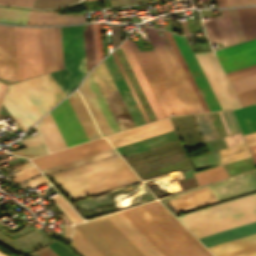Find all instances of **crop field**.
Wrapping results in <instances>:
<instances>
[{"mask_svg":"<svg viewBox=\"0 0 256 256\" xmlns=\"http://www.w3.org/2000/svg\"><path fill=\"white\" fill-rule=\"evenodd\" d=\"M49 72L56 71V54L53 28H45Z\"/></svg>","mask_w":256,"mask_h":256,"instance_id":"38","label":"crop field"},{"mask_svg":"<svg viewBox=\"0 0 256 256\" xmlns=\"http://www.w3.org/2000/svg\"><path fill=\"white\" fill-rule=\"evenodd\" d=\"M165 33H166V35H167L175 53H176V55H177L181 65H182V67H183V69H184V71H185V73H186V75H187V77H188V79H189V81H190V83H191V85H192V87H193V89H194V91H195V93H196L204 111L208 112L209 109H208V107H207V105H206V103H205V101H204V99H203V97H202V95H201V93H200V91H199V89H198V87H197V85H196V83H195V81H194V79H193V77H192V75H191V73H190V71H189V69H188V67H187V65H186V63H185V61H184V59H183V57H182V55L179 51L174 39H173V37H172V35H171V33H169V32H165Z\"/></svg>","mask_w":256,"mask_h":256,"instance_id":"29","label":"crop field"},{"mask_svg":"<svg viewBox=\"0 0 256 256\" xmlns=\"http://www.w3.org/2000/svg\"><path fill=\"white\" fill-rule=\"evenodd\" d=\"M71 245L83 256H102L75 228Z\"/></svg>","mask_w":256,"mask_h":256,"instance_id":"30","label":"crop field"},{"mask_svg":"<svg viewBox=\"0 0 256 256\" xmlns=\"http://www.w3.org/2000/svg\"><path fill=\"white\" fill-rule=\"evenodd\" d=\"M28 165H31V162H29V163H27V164H24V165H22V166H19V167L13 169V171H15V170H17V169H19V168H21V167L28 166Z\"/></svg>","mask_w":256,"mask_h":256,"instance_id":"71","label":"crop field"},{"mask_svg":"<svg viewBox=\"0 0 256 256\" xmlns=\"http://www.w3.org/2000/svg\"><path fill=\"white\" fill-rule=\"evenodd\" d=\"M28 13L29 11L14 10L0 7V22L26 25Z\"/></svg>","mask_w":256,"mask_h":256,"instance_id":"31","label":"crop field"},{"mask_svg":"<svg viewBox=\"0 0 256 256\" xmlns=\"http://www.w3.org/2000/svg\"><path fill=\"white\" fill-rule=\"evenodd\" d=\"M229 6L256 4V0H228Z\"/></svg>","mask_w":256,"mask_h":256,"instance_id":"55","label":"crop field"},{"mask_svg":"<svg viewBox=\"0 0 256 256\" xmlns=\"http://www.w3.org/2000/svg\"><path fill=\"white\" fill-rule=\"evenodd\" d=\"M33 168H35L34 165H33V166H30V167H26V168H24L22 171L17 172V173H15L14 175H15V176H16V175H19V174H21V173H23V172H26V171H28V170H31V169H33Z\"/></svg>","mask_w":256,"mask_h":256,"instance_id":"67","label":"crop field"},{"mask_svg":"<svg viewBox=\"0 0 256 256\" xmlns=\"http://www.w3.org/2000/svg\"><path fill=\"white\" fill-rule=\"evenodd\" d=\"M83 32H84L86 65H87V71H88L95 65L91 24L86 25V30H83Z\"/></svg>","mask_w":256,"mask_h":256,"instance_id":"37","label":"crop field"},{"mask_svg":"<svg viewBox=\"0 0 256 256\" xmlns=\"http://www.w3.org/2000/svg\"><path fill=\"white\" fill-rule=\"evenodd\" d=\"M17 86L40 117L65 96L50 74L17 83Z\"/></svg>","mask_w":256,"mask_h":256,"instance_id":"9","label":"crop field"},{"mask_svg":"<svg viewBox=\"0 0 256 256\" xmlns=\"http://www.w3.org/2000/svg\"><path fill=\"white\" fill-rule=\"evenodd\" d=\"M243 134L256 131V105L233 110Z\"/></svg>","mask_w":256,"mask_h":256,"instance_id":"28","label":"crop field"},{"mask_svg":"<svg viewBox=\"0 0 256 256\" xmlns=\"http://www.w3.org/2000/svg\"><path fill=\"white\" fill-rule=\"evenodd\" d=\"M219 113V115H220V118H221V120H222V122H223V125H224V127H225V130H226V132H227V134L229 135L230 133H229V131H228V129H227V126H226V124H225V122H224V120H223V117H222V115H221V113L220 112H218Z\"/></svg>","mask_w":256,"mask_h":256,"instance_id":"70","label":"crop field"},{"mask_svg":"<svg viewBox=\"0 0 256 256\" xmlns=\"http://www.w3.org/2000/svg\"><path fill=\"white\" fill-rule=\"evenodd\" d=\"M121 213L164 256H212L159 202Z\"/></svg>","mask_w":256,"mask_h":256,"instance_id":"1","label":"crop field"},{"mask_svg":"<svg viewBox=\"0 0 256 256\" xmlns=\"http://www.w3.org/2000/svg\"><path fill=\"white\" fill-rule=\"evenodd\" d=\"M224 139L228 147L244 142L240 133L224 137Z\"/></svg>","mask_w":256,"mask_h":256,"instance_id":"51","label":"crop field"},{"mask_svg":"<svg viewBox=\"0 0 256 256\" xmlns=\"http://www.w3.org/2000/svg\"><path fill=\"white\" fill-rule=\"evenodd\" d=\"M210 111L220 110L184 36L172 34Z\"/></svg>","mask_w":256,"mask_h":256,"instance_id":"16","label":"crop field"},{"mask_svg":"<svg viewBox=\"0 0 256 256\" xmlns=\"http://www.w3.org/2000/svg\"><path fill=\"white\" fill-rule=\"evenodd\" d=\"M156 31H157V33H158V35L159 36H161L162 37V39H163V41H164V43L165 44H168L169 42H168V40H167V38H166V36H165V34H164V32L163 31H161V30H157L156 29ZM161 39V38H160ZM162 41V40H161ZM163 43V42H162ZM164 45V44H163ZM165 47V46H164ZM167 47H168V49H169V51H170V53H171V55H172V57H173V59H174V61H175V63H176V65H177V67H178V69H179V73H180V75H181V77H182V79H183V81H184V83H185V85H186V87H187V89H188V91H189V93H190V95H191V97H192V99H193V101H194V103H195V105L197 106V108H198V110H199V112H203V110H202V108H201V106H200V104H199V102H198V100H197V98H196V96H195V94H194V92H193V90H192V88H191V86H190V84H189V82H188V80H187V78H186V76H185V74H184V72H183V70H182V68H181V66H180V64H179V62H178V60H177V58H176V56H175V54H174V52H173V50H172V48H171V46H170V44H168L167 45ZM166 49V48H165ZM167 51V50H166ZM168 53V52H167ZM169 55V54H168ZM170 57V56H169ZM171 59V58H170ZM172 61V60H171ZM173 63V62H172ZM174 65V64H173ZM175 67V66H174ZM176 69V68H175ZM177 71V70H176ZM178 73V72H177ZM179 75V74H178ZM180 77V76H179ZM181 79V78H180ZM182 81V80H181ZM183 83V82H182ZM184 85V84H183ZM185 87V86H184ZM186 89V88H185ZM187 91V90H186ZM188 93V92H187ZM189 95V94H188ZM190 97V96H189ZM191 99V98H190ZM192 101V100H191ZM193 103V102H192ZM194 105V104H193ZM195 107V106H194ZM196 109V108H195ZM197 111V110H196ZM198 113V112H197Z\"/></svg>","mask_w":256,"mask_h":256,"instance_id":"33","label":"crop field"},{"mask_svg":"<svg viewBox=\"0 0 256 256\" xmlns=\"http://www.w3.org/2000/svg\"><path fill=\"white\" fill-rule=\"evenodd\" d=\"M203 23L205 25V30H206V33L208 35V38H209V41L211 42V44L221 42L218 32H217V29H216V26H215V23H214V20L205 21Z\"/></svg>","mask_w":256,"mask_h":256,"instance_id":"44","label":"crop field"},{"mask_svg":"<svg viewBox=\"0 0 256 256\" xmlns=\"http://www.w3.org/2000/svg\"><path fill=\"white\" fill-rule=\"evenodd\" d=\"M36 126L42 134L50 151L66 148L50 113L39 121Z\"/></svg>","mask_w":256,"mask_h":256,"instance_id":"23","label":"crop field"},{"mask_svg":"<svg viewBox=\"0 0 256 256\" xmlns=\"http://www.w3.org/2000/svg\"><path fill=\"white\" fill-rule=\"evenodd\" d=\"M50 113L67 147L88 140L68 99L61 102Z\"/></svg>","mask_w":256,"mask_h":256,"instance_id":"11","label":"crop field"},{"mask_svg":"<svg viewBox=\"0 0 256 256\" xmlns=\"http://www.w3.org/2000/svg\"><path fill=\"white\" fill-rule=\"evenodd\" d=\"M256 65H253V66H250V67H247V68H243V69H240V70H237V71H234V72H230V73H227L226 75H231V74H235V73H238V72H241V71H245V70H248V69H251V68H255Z\"/></svg>","mask_w":256,"mask_h":256,"instance_id":"63","label":"crop field"},{"mask_svg":"<svg viewBox=\"0 0 256 256\" xmlns=\"http://www.w3.org/2000/svg\"><path fill=\"white\" fill-rule=\"evenodd\" d=\"M53 202L64 212L72 223L83 221L60 194L52 197Z\"/></svg>","mask_w":256,"mask_h":256,"instance_id":"39","label":"crop field"},{"mask_svg":"<svg viewBox=\"0 0 256 256\" xmlns=\"http://www.w3.org/2000/svg\"><path fill=\"white\" fill-rule=\"evenodd\" d=\"M0 4L12 5L13 4V0H0Z\"/></svg>","mask_w":256,"mask_h":256,"instance_id":"69","label":"crop field"},{"mask_svg":"<svg viewBox=\"0 0 256 256\" xmlns=\"http://www.w3.org/2000/svg\"><path fill=\"white\" fill-rule=\"evenodd\" d=\"M229 12H230V16L233 22V26H234L238 41L239 42L245 41L246 39H245L244 32H243L236 9H229Z\"/></svg>","mask_w":256,"mask_h":256,"instance_id":"43","label":"crop field"},{"mask_svg":"<svg viewBox=\"0 0 256 256\" xmlns=\"http://www.w3.org/2000/svg\"><path fill=\"white\" fill-rule=\"evenodd\" d=\"M80 89H81V91L84 95V98H85V100H86V102H87V104H88V106H89V108H90V110H91V112H92V114H93L101 132H102V134H103V136L111 134L112 132H111V130H110V128H109V126H108V124H107V122H106V120H105V118H104V116H103V114H102V112H101V110H100V108H99V106H98V104H97V102H96V100H95L87 82H86V80L83 82Z\"/></svg>","mask_w":256,"mask_h":256,"instance_id":"26","label":"crop field"},{"mask_svg":"<svg viewBox=\"0 0 256 256\" xmlns=\"http://www.w3.org/2000/svg\"><path fill=\"white\" fill-rule=\"evenodd\" d=\"M77 1L79 0H35L33 8H53Z\"/></svg>","mask_w":256,"mask_h":256,"instance_id":"41","label":"crop field"},{"mask_svg":"<svg viewBox=\"0 0 256 256\" xmlns=\"http://www.w3.org/2000/svg\"><path fill=\"white\" fill-rule=\"evenodd\" d=\"M247 145L256 144V132L243 135Z\"/></svg>","mask_w":256,"mask_h":256,"instance_id":"56","label":"crop field"},{"mask_svg":"<svg viewBox=\"0 0 256 256\" xmlns=\"http://www.w3.org/2000/svg\"><path fill=\"white\" fill-rule=\"evenodd\" d=\"M108 149H111V147L107 141L103 138H99L55 153L33 158L31 160L40 170H42Z\"/></svg>","mask_w":256,"mask_h":256,"instance_id":"10","label":"crop field"},{"mask_svg":"<svg viewBox=\"0 0 256 256\" xmlns=\"http://www.w3.org/2000/svg\"><path fill=\"white\" fill-rule=\"evenodd\" d=\"M250 153L253 157L254 162L256 163V145L249 146Z\"/></svg>","mask_w":256,"mask_h":256,"instance_id":"62","label":"crop field"},{"mask_svg":"<svg viewBox=\"0 0 256 256\" xmlns=\"http://www.w3.org/2000/svg\"><path fill=\"white\" fill-rule=\"evenodd\" d=\"M59 256H78L71 252L65 245L54 242L48 245Z\"/></svg>","mask_w":256,"mask_h":256,"instance_id":"47","label":"crop field"},{"mask_svg":"<svg viewBox=\"0 0 256 256\" xmlns=\"http://www.w3.org/2000/svg\"><path fill=\"white\" fill-rule=\"evenodd\" d=\"M106 217L145 255L163 256L120 212Z\"/></svg>","mask_w":256,"mask_h":256,"instance_id":"18","label":"crop field"},{"mask_svg":"<svg viewBox=\"0 0 256 256\" xmlns=\"http://www.w3.org/2000/svg\"><path fill=\"white\" fill-rule=\"evenodd\" d=\"M58 70L64 68L59 28H54Z\"/></svg>","mask_w":256,"mask_h":256,"instance_id":"45","label":"crop field"},{"mask_svg":"<svg viewBox=\"0 0 256 256\" xmlns=\"http://www.w3.org/2000/svg\"><path fill=\"white\" fill-rule=\"evenodd\" d=\"M177 218L197 238L256 221V193L180 215Z\"/></svg>","mask_w":256,"mask_h":256,"instance_id":"3","label":"crop field"},{"mask_svg":"<svg viewBox=\"0 0 256 256\" xmlns=\"http://www.w3.org/2000/svg\"><path fill=\"white\" fill-rule=\"evenodd\" d=\"M2 104L23 132L29 129L40 118L16 84L8 86Z\"/></svg>","mask_w":256,"mask_h":256,"instance_id":"12","label":"crop field"},{"mask_svg":"<svg viewBox=\"0 0 256 256\" xmlns=\"http://www.w3.org/2000/svg\"><path fill=\"white\" fill-rule=\"evenodd\" d=\"M145 31L186 111L187 114L196 113L179 77L177 76L156 32L152 28L144 27Z\"/></svg>","mask_w":256,"mask_h":256,"instance_id":"15","label":"crop field"},{"mask_svg":"<svg viewBox=\"0 0 256 256\" xmlns=\"http://www.w3.org/2000/svg\"><path fill=\"white\" fill-rule=\"evenodd\" d=\"M225 73L256 64V39L215 51Z\"/></svg>","mask_w":256,"mask_h":256,"instance_id":"13","label":"crop field"},{"mask_svg":"<svg viewBox=\"0 0 256 256\" xmlns=\"http://www.w3.org/2000/svg\"><path fill=\"white\" fill-rule=\"evenodd\" d=\"M88 139L100 137V134L88 113L78 91L68 97Z\"/></svg>","mask_w":256,"mask_h":256,"instance_id":"22","label":"crop field"},{"mask_svg":"<svg viewBox=\"0 0 256 256\" xmlns=\"http://www.w3.org/2000/svg\"><path fill=\"white\" fill-rule=\"evenodd\" d=\"M5 87H6V85L1 84V87H0V103H1V100H2V97H3V94H4Z\"/></svg>","mask_w":256,"mask_h":256,"instance_id":"68","label":"crop field"},{"mask_svg":"<svg viewBox=\"0 0 256 256\" xmlns=\"http://www.w3.org/2000/svg\"><path fill=\"white\" fill-rule=\"evenodd\" d=\"M222 115L224 117V120L228 126V129L230 131V133H235V132H238L239 129L237 127V124L235 122V119L233 117V114L231 112V110H228V111H223L222 112Z\"/></svg>","mask_w":256,"mask_h":256,"instance_id":"48","label":"crop field"},{"mask_svg":"<svg viewBox=\"0 0 256 256\" xmlns=\"http://www.w3.org/2000/svg\"><path fill=\"white\" fill-rule=\"evenodd\" d=\"M170 120V119H169ZM168 118L159 120L150 124L136 127L127 131H123L114 135L107 136L106 138L110 143L116 147L129 142H133L142 138H146L155 134L172 130V126Z\"/></svg>","mask_w":256,"mask_h":256,"instance_id":"17","label":"crop field"},{"mask_svg":"<svg viewBox=\"0 0 256 256\" xmlns=\"http://www.w3.org/2000/svg\"><path fill=\"white\" fill-rule=\"evenodd\" d=\"M181 23H182V27H183L184 34L190 35V34H189V31H188V27H187L186 21H181Z\"/></svg>","mask_w":256,"mask_h":256,"instance_id":"64","label":"crop field"},{"mask_svg":"<svg viewBox=\"0 0 256 256\" xmlns=\"http://www.w3.org/2000/svg\"><path fill=\"white\" fill-rule=\"evenodd\" d=\"M33 2L34 0H15L13 5L32 7Z\"/></svg>","mask_w":256,"mask_h":256,"instance_id":"59","label":"crop field"},{"mask_svg":"<svg viewBox=\"0 0 256 256\" xmlns=\"http://www.w3.org/2000/svg\"><path fill=\"white\" fill-rule=\"evenodd\" d=\"M45 182H47V180L44 178V177H42V178H40V179H38V180H36V181H34V182H32V183H30V184H28V186H30V187H37V186H39V185H41V184H43V183H45ZM27 187V186H26ZM25 188V187H24Z\"/></svg>","mask_w":256,"mask_h":256,"instance_id":"61","label":"crop field"},{"mask_svg":"<svg viewBox=\"0 0 256 256\" xmlns=\"http://www.w3.org/2000/svg\"><path fill=\"white\" fill-rule=\"evenodd\" d=\"M222 110L240 106L213 52L195 55Z\"/></svg>","mask_w":256,"mask_h":256,"instance_id":"8","label":"crop field"},{"mask_svg":"<svg viewBox=\"0 0 256 256\" xmlns=\"http://www.w3.org/2000/svg\"><path fill=\"white\" fill-rule=\"evenodd\" d=\"M0 78L19 81L13 27L1 25Z\"/></svg>","mask_w":256,"mask_h":256,"instance_id":"14","label":"crop field"},{"mask_svg":"<svg viewBox=\"0 0 256 256\" xmlns=\"http://www.w3.org/2000/svg\"><path fill=\"white\" fill-rule=\"evenodd\" d=\"M199 186L228 177L222 166H217L194 174Z\"/></svg>","mask_w":256,"mask_h":256,"instance_id":"32","label":"crop field"},{"mask_svg":"<svg viewBox=\"0 0 256 256\" xmlns=\"http://www.w3.org/2000/svg\"><path fill=\"white\" fill-rule=\"evenodd\" d=\"M112 55H113L117 65H118V67H119V69H120V71H121V73H122V75H123L127 85H128V87H129V89H130V91H131V93H132V95H133V97H134V99H135V101H136V103H137V105H138V107H139V109H140V111H141V113H142L146 123H148L149 121H148V119H147V117H146V115H145V113H144V111H143V109H142V107H141V105H140V103H139V101H138V99H137V97H136V95H135V93H134V91H133V89H132V87H131V85H130V83H129V81H128V79H127V77H126V75H125V73H124V71H123L119 61H118V59H117V57H116V55H115V53H114V51H113Z\"/></svg>","mask_w":256,"mask_h":256,"instance_id":"49","label":"crop field"},{"mask_svg":"<svg viewBox=\"0 0 256 256\" xmlns=\"http://www.w3.org/2000/svg\"><path fill=\"white\" fill-rule=\"evenodd\" d=\"M0 256H5V255H3V254L0 253Z\"/></svg>","mask_w":256,"mask_h":256,"instance_id":"72","label":"crop field"},{"mask_svg":"<svg viewBox=\"0 0 256 256\" xmlns=\"http://www.w3.org/2000/svg\"><path fill=\"white\" fill-rule=\"evenodd\" d=\"M65 69L51 73L66 94L76 88L86 73L82 25L61 28Z\"/></svg>","mask_w":256,"mask_h":256,"instance_id":"5","label":"crop field"},{"mask_svg":"<svg viewBox=\"0 0 256 256\" xmlns=\"http://www.w3.org/2000/svg\"><path fill=\"white\" fill-rule=\"evenodd\" d=\"M74 227L103 256H144L105 216Z\"/></svg>","mask_w":256,"mask_h":256,"instance_id":"6","label":"crop field"},{"mask_svg":"<svg viewBox=\"0 0 256 256\" xmlns=\"http://www.w3.org/2000/svg\"><path fill=\"white\" fill-rule=\"evenodd\" d=\"M21 142L27 147V146L35 145L38 143H42L43 141H42L40 135H37V136H33L29 139L21 140Z\"/></svg>","mask_w":256,"mask_h":256,"instance_id":"54","label":"crop field"},{"mask_svg":"<svg viewBox=\"0 0 256 256\" xmlns=\"http://www.w3.org/2000/svg\"><path fill=\"white\" fill-rule=\"evenodd\" d=\"M53 177L73 199L138 180L119 155Z\"/></svg>","mask_w":256,"mask_h":256,"instance_id":"2","label":"crop field"},{"mask_svg":"<svg viewBox=\"0 0 256 256\" xmlns=\"http://www.w3.org/2000/svg\"><path fill=\"white\" fill-rule=\"evenodd\" d=\"M45 152H46V150H45L44 144L42 143V144H38V145H35V146H32V147H28V148L20 149V150H17V151H13V152H10V153L14 154V155L32 157V156L39 155V154H42V153H45Z\"/></svg>","mask_w":256,"mask_h":256,"instance_id":"42","label":"crop field"},{"mask_svg":"<svg viewBox=\"0 0 256 256\" xmlns=\"http://www.w3.org/2000/svg\"><path fill=\"white\" fill-rule=\"evenodd\" d=\"M235 94L256 88V73L229 81Z\"/></svg>","mask_w":256,"mask_h":256,"instance_id":"36","label":"crop field"},{"mask_svg":"<svg viewBox=\"0 0 256 256\" xmlns=\"http://www.w3.org/2000/svg\"><path fill=\"white\" fill-rule=\"evenodd\" d=\"M249 155L250 154L244 143L230 147L220 151L221 164H225Z\"/></svg>","mask_w":256,"mask_h":256,"instance_id":"34","label":"crop field"},{"mask_svg":"<svg viewBox=\"0 0 256 256\" xmlns=\"http://www.w3.org/2000/svg\"><path fill=\"white\" fill-rule=\"evenodd\" d=\"M120 47H121L129 65H130V67H131V69H132V71H133V73H134V75H135V77H136V79H137V81H138V83H139V85H140V87H141V89H142V91H143V93H144V95H145V97H146V99H147V101H148L156 119L163 118L164 116H163V114H162V112H161V110H160V108H159V106H158V104H157V102H156V100H155V98H154V96H153V94H152V92H151V90H150V88H149V86H148V84H147V82H146V80H145V78H144V76H143V74H142V72H141V70H140V68H139V66H138L130 48H129V46H128V44H127V42H126V40L123 44L120 45Z\"/></svg>","mask_w":256,"mask_h":256,"instance_id":"20","label":"crop field"},{"mask_svg":"<svg viewBox=\"0 0 256 256\" xmlns=\"http://www.w3.org/2000/svg\"><path fill=\"white\" fill-rule=\"evenodd\" d=\"M1 84V83H0Z\"/></svg>","mask_w":256,"mask_h":256,"instance_id":"73","label":"crop field"},{"mask_svg":"<svg viewBox=\"0 0 256 256\" xmlns=\"http://www.w3.org/2000/svg\"><path fill=\"white\" fill-rule=\"evenodd\" d=\"M254 72H256V68L248 70V71H245V72H241V73H238V74H235V75L228 76L227 78H228V80H230V79H234V78H237V77H240V76H244V75H247V74H250V73H254Z\"/></svg>","mask_w":256,"mask_h":256,"instance_id":"60","label":"crop field"},{"mask_svg":"<svg viewBox=\"0 0 256 256\" xmlns=\"http://www.w3.org/2000/svg\"><path fill=\"white\" fill-rule=\"evenodd\" d=\"M44 74L48 72L44 28H39Z\"/></svg>","mask_w":256,"mask_h":256,"instance_id":"50","label":"crop field"},{"mask_svg":"<svg viewBox=\"0 0 256 256\" xmlns=\"http://www.w3.org/2000/svg\"><path fill=\"white\" fill-rule=\"evenodd\" d=\"M86 21L84 16L63 17L51 12L30 11L27 25H55Z\"/></svg>","mask_w":256,"mask_h":256,"instance_id":"24","label":"crop field"},{"mask_svg":"<svg viewBox=\"0 0 256 256\" xmlns=\"http://www.w3.org/2000/svg\"><path fill=\"white\" fill-rule=\"evenodd\" d=\"M97 37H98L99 57L101 60L103 58V51H102L101 31H100L99 23L97 24Z\"/></svg>","mask_w":256,"mask_h":256,"instance_id":"58","label":"crop field"},{"mask_svg":"<svg viewBox=\"0 0 256 256\" xmlns=\"http://www.w3.org/2000/svg\"><path fill=\"white\" fill-rule=\"evenodd\" d=\"M206 188H208V187H206ZM206 188H203V189H206ZM200 190H202V189H200ZM181 198L182 199L178 198L180 200L174 199L176 201L171 200L175 204V206L178 208L179 211L189 209L192 207H196V206H200V205H204L207 203L215 202V199L212 196V194L210 193L209 189L182 195ZM173 203H171L172 206L175 208V210L177 212H179Z\"/></svg>","mask_w":256,"mask_h":256,"instance_id":"25","label":"crop field"},{"mask_svg":"<svg viewBox=\"0 0 256 256\" xmlns=\"http://www.w3.org/2000/svg\"><path fill=\"white\" fill-rule=\"evenodd\" d=\"M20 81L43 74L38 28L14 27Z\"/></svg>","mask_w":256,"mask_h":256,"instance_id":"7","label":"crop field"},{"mask_svg":"<svg viewBox=\"0 0 256 256\" xmlns=\"http://www.w3.org/2000/svg\"><path fill=\"white\" fill-rule=\"evenodd\" d=\"M86 80L113 133L135 126L103 61Z\"/></svg>","mask_w":256,"mask_h":256,"instance_id":"4","label":"crop field"},{"mask_svg":"<svg viewBox=\"0 0 256 256\" xmlns=\"http://www.w3.org/2000/svg\"><path fill=\"white\" fill-rule=\"evenodd\" d=\"M221 16L214 17L223 47L238 43L227 9L219 10Z\"/></svg>","mask_w":256,"mask_h":256,"instance_id":"27","label":"crop field"},{"mask_svg":"<svg viewBox=\"0 0 256 256\" xmlns=\"http://www.w3.org/2000/svg\"><path fill=\"white\" fill-rule=\"evenodd\" d=\"M253 233H256V222L199 238V240L206 248H208Z\"/></svg>","mask_w":256,"mask_h":256,"instance_id":"21","label":"crop field"},{"mask_svg":"<svg viewBox=\"0 0 256 256\" xmlns=\"http://www.w3.org/2000/svg\"><path fill=\"white\" fill-rule=\"evenodd\" d=\"M240 20L246 35V38L256 37V32L248 9L238 10Z\"/></svg>","mask_w":256,"mask_h":256,"instance_id":"40","label":"crop field"},{"mask_svg":"<svg viewBox=\"0 0 256 256\" xmlns=\"http://www.w3.org/2000/svg\"><path fill=\"white\" fill-rule=\"evenodd\" d=\"M214 256H256V234L208 248Z\"/></svg>","mask_w":256,"mask_h":256,"instance_id":"19","label":"crop field"},{"mask_svg":"<svg viewBox=\"0 0 256 256\" xmlns=\"http://www.w3.org/2000/svg\"><path fill=\"white\" fill-rule=\"evenodd\" d=\"M37 173H39V171H38L37 168H35V169L31 170V171H28V172H26L24 174H21V175H19L17 177H14L11 180H13L14 182L18 183V182H20V181H22V180H24L26 178H29V177L37 174Z\"/></svg>","mask_w":256,"mask_h":256,"instance_id":"53","label":"crop field"},{"mask_svg":"<svg viewBox=\"0 0 256 256\" xmlns=\"http://www.w3.org/2000/svg\"><path fill=\"white\" fill-rule=\"evenodd\" d=\"M71 226H65L64 236H70Z\"/></svg>","mask_w":256,"mask_h":256,"instance_id":"66","label":"crop field"},{"mask_svg":"<svg viewBox=\"0 0 256 256\" xmlns=\"http://www.w3.org/2000/svg\"><path fill=\"white\" fill-rule=\"evenodd\" d=\"M92 29H93L95 59H96V63H98V62H99V57H98V47H97V37H96V28H95V24H92Z\"/></svg>","mask_w":256,"mask_h":256,"instance_id":"57","label":"crop field"},{"mask_svg":"<svg viewBox=\"0 0 256 256\" xmlns=\"http://www.w3.org/2000/svg\"><path fill=\"white\" fill-rule=\"evenodd\" d=\"M113 154H116V152L113 149H111V150H108V151H105V152H102V153H99V154H96V155H92V156L82 158V159H79V160H76V161H72V162H69V163H66V164H62V165H59V166H56V167H52V168H49V169H46V170H42V172H43L44 175H46V174H49V173H53V172H56V171H59V170H63V169L69 168V167H73V166H76V165H79V164H83V163L93 161V160L103 158V157L113 155Z\"/></svg>","mask_w":256,"mask_h":256,"instance_id":"35","label":"crop field"},{"mask_svg":"<svg viewBox=\"0 0 256 256\" xmlns=\"http://www.w3.org/2000/svg\"><path fill=\"white\" fill-rule=\"evenodd\" d=\"M112 49L119 43V25L111 24Z\"/></svg>","mask_w":256,"mask_h":256,"instance_id":"52","label":"crop field"},{"mask_svg":"<svg viewBox=\"0 0 256 256\" xmlns=\"http://www.w3.org/2000/svg\"><path fill=\"white\" fill-rule=\"evenodd\" d=\"M218 7L220 6H228L227 0H216Z\"/></svg>","mask_w":256,"mask_h":256,"instance_id":"65","label":"crop field"},{"mask_svg":"<svg viewBox=\"0 0 256 256\" xmlns=\"http://www.w3.org/2000/svg\"><path fill=\"white\" fill-rule=\"evenodd\" d=\"M236 96L239 99L241 105L254 103L256 102V89L237 94Z\"/></svg>","mask_w":256,"mask_h":256,"instance_id":"46","label":"crop field"}]
</instances>
